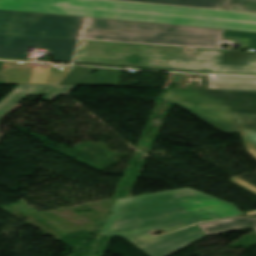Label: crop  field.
Instances as JSON below:
<instances>
[{
  "mask_svg": "<svg viewBox=\"0 0 256 256\" xmlns=\"http://www.w3.org/2000/svg\"><path fill=\"white\" fill-rule=\"evenodd\" d=\"M102 234L124 237L150 256H166L204 236L192 225L153 237L148 231L181 227L242 215L231 203L192 188L164 191L116 200Z\"/></svg>",
  "mask_w": 256,
  "mask_h": 256,
  "instance_id": "crop-field-1",
  "label": "crop field"
},
{
  "mask_svg": "<svg viewBox=\"0 0 256 256\" xmlns=\"http://www.w3.org/2000/svg\"><path fill=\"white\" fill-rule=\"evenodd\" d=\"M0 33L212 48L219 47L221 36H232L251 38L248 50L256 51V33L251 32L3 10Z\"/></svg>",
  "mask_w": 256,
  "mask_h": 256,
  "instance_id": "crop-field-2",
  "label": "crop field"
},
{
  "mask_svg": "<svg viewBox=\"0 0 256 256\" xmlns=\"http://www.w3.org/2000/svg\"><path fill=\"white\" fill-rule=\"evenodd\" d=\"M0 9L256 32V14L112 0H0Z\"/></svg>",
  "mask_w": 256,
  "mask_h": 256,
  "instance_id": "crop-field-3",
  "label": "crop field"
},
{
  "mask_svg": "<svg viewBox=\"0 0 256 256\" xmlns=\"http://www.w3.org/2000/svg\"><path fill=\"white\" fill-rule=\"evenodd\" d=\"M80 40L74 62L256 75V52Z\"/></svg>",
  "mask_w": 256,
  "mask_h": 256,
  "instance_id": "crop-field-4",
  "label": "crop field"
},
{
  "mask_svg": "<svg viewBox=\"0 0 256 256\" xmlns=\"http://www.w3.org/2000/svg\"><path fill=\"white\" fill-rule=\"evenodd\" d=\"M162 100L181 106L225 133L239 132L232 112H256V91L167 89Z\"/></svg>",
  "mask_w": 256,
  "mask_h": 256,
  "instance_id": "crop-field-5",
  "label": "crop field"
},
{
  "mask_svg": "<svg viewBox=\"0 0 256 256\" xmlns=\"http://www.w3.org/2000/svg\"><path fill=\"white\" fill-rule=\"evenodd\" d=\"M77 40L0 34V57L26 59L27 46L47 49L51 60L72 62Z\"/></svg>",
  "mask_w": 256,
  "mask_h": 256,
  "instance_id": "crop-field-6",
  "label": "crop field"
},
{
  "mask_svg": "<svg viewBox=\"0 0 256 256\" xmlns=\"http://www.w3.org/2000/svg\"><path fill=\"white\" fill-rule=\"evenodd\" d=\"M75 66L53 64L41 67L33 63L0 61L1 75L5 83L59 85Z\"/></svg>",
  "mask_w": 256,
  "mask_h": 256,
  "instance_id": "crop-field-7",
  "label": "crop field"
},
{
  "mask_svg": "<svg viewBox=\"0 0 256 256\" xmlns=\"http://www.w3.org/2000/svg\"><path fill=\"white\" fill-rule=\"evenodd\" d=\"M98 70L96 77L90 74ZM120 70L76 66L60 85L119 86Z\"/></svg>",
  "mask_w": 256,
  "mask_h": 256,
  "instance_id": "crop-field-8",
  "label": "crop field"
},
{
  "mask_svg": "<svg viewBox=\"0 0 256 256\" xmlns=\"http://www.w3.org/2000/svg\"><path fill=\"white\" fill-rule=\"evenodd\" d=\"M76 87L19 85L0 102V119L11 111L28 93L50 94L45 99L52 100L57 95L71 93Z\"/></svg>",
  "mask_w": 256,
  "mask_h": 256,
  "instance_id": "crop-field-9",
  "label": "crop field"
},
{
  "mask_svg": "<svg viewBox=\"0 0 256 256\" xmlns=\"http://www.w3.org/2000/svg\"><path fill=\"white\" fill-rule=\"evenodd\" d=\"M202 231L207 235L237 231L253 227L256 231V218L239 217L233 219H227L222 221H216L211 223L199 224Z\"/></svg>",
  "mask_w": 256,
  "mask_h": 256,
  "instance_id": "crop-field-10",
  "label": "crop field"
},
{
  "mask_svg": "<svg viewBox=\"0 0 256 256\" xmlns=\"http://www.w3.org/2000/svg\"><path fill=\"white\" fill-rule=\"evenodd\" d=\"M207 89L256 90V77L210 75Z\"/></svg>",
  "mask_w": 256,
  "mask_h": 256,
  "instance_id": "crop-field-11",
  "label": "crop field"
},
{
  "mask_svg": "<svg viewBox=\"0 0 256 256\" xmlns=\"http://www.w3.org/2000/svg\"><path fill=\"white\" fill-rule=\"evenodd\" d=\"M243 142L256 158V118L235 119Z\"/></svg>",
  "mask_w": 256,
  "mask_h": 256,
  "instance_id": "crop-field-12",
  "label": "crop field"
},
{
  "mask_svg": "<svg viewBox=\"0 0 256 256\" xmlns=\"http://www.w3.org/2000/svg\"><path fill=\"white\" fill-rule=\"evenodd\" d=\"M125 1L220 9L224 0H125Z\"/></svg>",
  "mask_w": 256,
  "mask_h": 256,
  "instance_id": "crop-field-13",
  "label": "crop field"
},
{
  "mask_svg": "<svg viewBox=\"0 0 256 256\" xmlns=\"http://www.w3.org/2000/svg\"><path fill=\"white\" fill-rule=\"evenodd\" d=\"M234 6L236 11L256 12V0H225L221 9L232 10Z\"/></svg>",
  "mask_w": 256,
  "mask_h": 256,
  "instance_id": "crop-field-14",
  "label": "crop field"
},
{
  "mask_svg": "<svg viewBox=\"0 0 256 256\" xmlns=\"http://www.w3.org/2000/svg\"><path fill=\"white\" fill-rule=\"evenodd\" d=\"M230 181L232 183H234V184H236V185H238V186H240V187H242V188H244V189H246V190H248V191H250V192H252L253 194L256 195V187H254L251 184L243 181L242 179L232 178V179H230Z\"/></svg>",
  "mask_w": 256,
  "mask_h": 256,
  "instance_id": "crop-field-15",
  "label": "crop field"
},
{
  "mask_svg": "<svg viewBox=\"0 0 256 256\" xmlns=\"http://www.w3.org/2000/svg\"><path fill=\"white\" fill-rule=\"evenodd\" d=\"M235 118L256 117V113H233Z\"/></svg>",
  "mask_w": 256,
  "mask_h": 256,
  "instance_id": "crop-field-16",
  "label": "crop field"
},
{
  "mask_svg": "<svg viewBox=\"0 0 256 256\" xmlns=\"http://www.w3.org/2000/svg\"><path fill=\"white\" fill-rule=\"evenodd\" d=\"M182 75H183V74L175 73V75H174V77H173V79H172L171 82H172V83H178Z\"/></svg>",
  "mask_w": 256,
  "mask_h": 256,
  "instance_id": "crop-field-17",
  "label": "crop field"
},
{
  "mask_svg": "<svg viewBox=\"0 0 256 256\" xmlns=\"http://www.w3.org/2000/svg\"><path fill=\"white\" fill-rule=\"evenodd\" d=\"M0 83H4V77L0 76Z\"/></svg>",
  "mask_w": 256,
  "mask_h": 256,
  "instance_id": "crop-field-18",
  "label": "crop field"
}]
</instances>
